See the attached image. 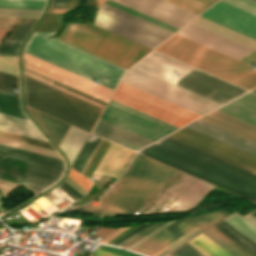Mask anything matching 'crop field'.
<instances>
[{
  "label": "crop field",
  "instance_id": "obj_57",
  "mask_svg": "<svg viewBox=\"0 0 256 256\" xmlns=\"http://www.w3.org/2000/svg\"><path fill=\"white\" fill-rule=\"evenodd\" d=\"M169 256V255H168Z\"/></svg>",
  "mask_w": 256,
  "mask_h": 256
},
{
  "label": "crop field",
  "instance_id": "obj_10",
  "mask_svg": "<svg viewBox=\"0 0 256 256\" xmlns=\"http://www.w3.org/2000/svg\"><path fill=\"white\" fill-rule=\"evenodd\" d=\"M112 100L177 128L200 115L121 82Z\"/></svg>",
  "mask_w": 256,
  "mask_h": 256
},
{
  "label": "crop field",
  "instance_id": "obj_40",
  "mask_svg": "<svg viewBox=\"0 0 256 256\" xmlns=\"http://www.w3.org/2000/svg\"><path fill=\"white\" fill-rule=\"evenodd\" d=\"M19 44L20 42L5 41L4 45L0 47V54L16 56Z\"/></svg>",
  "mask_w": 256,
  "mask_h": 256
},
{
  "label": "crop field",
  "instance_id": "obj_54",
  "mask_svg": "<svg viewBox=\"0 0 256 256\" xmlns=\"http://www.w3.org/2000/svg\"><path fill=\"white\" fill-rule=\"evenodd\" d=\"M252 91L256 93V89H254V90H252Z\"/></svg>",
  "mask_w": 256,
  "mask_h": 256
},
{
  "label": "crop field",
  "instance_id": "obj_4",
  "mask_svg": "<svg viewBox=\"0 0 256 256\" xmlns=\"http://www.w3.org/2000/svg\"><path fill=\"white\" fill-rule=\"evenodd\" d=\"M155 50L247 90L256 86L253 67L177 34Z\"/></svg>",
  "mask_w": 256,
  "mask_h": 256
},
{
  "label": "crop field",
  "instance_id": "obj_56",
  "mask_svg": "<svg viewBox=\"0 0 256 256\" xmlns=\"http://www.w3.org/2000/svg\"><path fill=\"white\" fill-rule=\"evenodd\" d=\"M92 256V255H91Z\"/></svg>",
  "mask_w": 256,
  "mask_h": 256
},
{
  "label": "crop field",
  "instance_id": "obj_27",
  "mask_svg": "<svg viewBox=\"0 0 256 256\" xmlns=\"http://www.w3.org/2000/svg\"><path fill=\"white\" fill-rule=\"evenodd\" d=\"M0 113L27 119L22 113L19 98L0 93Z\"/></svg>",
  "mask_w": 256,
  "mask_h": 256
},
{
  "label": "crop field",
  "instance_id": "obj_17",
  "mask_svg": "<svg viewBox=\"0 0 256 256\" xmlns=\"http://www.w3.org/2000/svg\"><path fill=\"white\" fill-rule=\"evenodd\" d=\"M194 227L185 220L177 221L132 250L150 256Z\"/></svg>",
  "mask_w": 256,
  "mask_h": 256
},
{
  "label": "crop field",
  "instance_id": "obj_16",
  "mask_svg": "<svg viewBox=\"0 0 256 256\" xmlns=\"http://www.w3.org/2000/svg\"><path fill=\"white\" fill-rule=\"evenodd\" d=\"M200 17L256 40V16L221 1Z\"/></svg>",
  "mask_w": 256,
  "mask_h": 256
},
{
  "label": "crop field",
  "instance_id": "obj_43",
  "mask_svg": "<svg viewBox=\"0 0 256 256\" xmlns=\"http://www.w3.org/2000/svg\"><path fill=\"white\" fill-rule=\"evenodd\" d=\"M98 249L108 251V252H111V253H114V254H117V255H120V256H141V255H137V254L127 252V251H124V250H119V249L106 247V246L99 247Z\"/></svg>",
  "mask_w": 256,
  "mask_h": 256
},
{
  "label": "crop field",
  "instance_id": "obj_34",
  "mask_svg": "<svg viewBox=\"0 0 256 256\" xmlns=\"http://www.w3.org/2000/svg\"><path fill=\"white\" fill-rule=\"evenodd\" d=\"M41 10L0 9V16L38 18Z\"/></svg>",
  "mask_w": 256,
  "mask_h": 256
},
{
  "label": "crop field",
  "instance_id": "obj_55",
  "mask_svg": "<svg viewBox=\"0 0 256 256\" xmlns=\"http://www.w3.org/2000/svg\"><path fill=\"white\" fill-rule=\"evenodd\" d=\"M253 1H255V2H256V0H253Z\"/></svg>",
  "mask_w": 256,
  "mask_h": 256
},
{
  "label": "crop field",
  "instance_id": "obj_44",
  "mask_svg": "<svg viewBox=\"0 0 256 256\" xmlns=\"http://www.w3.org/2000/svg\"><path fill=\"white\" fill-rule=\"evenodd\" d=\"M200 232H202V230H197L196 232L192 233L191 235H189L188 237L184 238L183 240H181L180 242L176 243L175 245H173L172 247H170L169 249L165 250L164 252H162L161 254L157 255V256H164L167 253H169L170 251L174 250L175 248H177L178 246L182 245L183 243H185L186 241H188L189 239H191L192 237L196 236L197 234H199Z\"/></svg>",
  "mask_w": 256,
  "mask_h": 256
},
{
  "label": "crop field",
  "instance_id": "obj_28",
  "mask_svg": "<svg viewBox=\"0 0 256 256\" xmlns=\"http://www.w3.org/2000/svg\"><path fill=\"white\" fill-rule=\"evenodd\" d=\"M210 256H231L202 233L190 240Z\"/></svg>",
  "mask_w": 256,
  "mask_h": 256
},
{
  "label": "crop field",
  "instance_id": "obj_19",
  "mask_svg": "<svg viewBox=\"0 0 256 256\" xmlns=\"http://www.w3.org/2000/svg\"><path fill=\"white\" fill-rule=\"evenodd\" d=\"M186 127L256 156V144L197 120Z\"/></svg>",
  "mask_w": 256,
  "mask_h": 256
},
{
  "label": "crop field",
  "instance_id": "obj_49",
  "mask_svg": "<svg viewBox=\"0 0 256 256\" xmlns=\"http://www.w3.org/2000/svg\"><path fill=\"white\" fill-rule=\"evenodd\" d=\"M61 188L65 193H67L71 198H73L75 201L78 199L75 195H73L67 188H65L62 184L58 186Z\"/></svg>",
  "mask_w": 256,
  "mask_h": 256
},
{
  "label": "crop field",
  "instance_id": "obj_25",
  "mask_svg": "<svg viewBox=\"0 0 256 256\" xmlns=\"http://www.w3.org/2000/svg\"><path fill=\"white\" fill-rule=\"evenodd\" d=\"M36 19L24 18H0V30H10L15 23L14 30L10 36L4 40L22 41Z\"/></svg>",
  "mask_w": 256,
  "mask_h": 256
},
{
  "label": "crop field",
  "instance_id": "obj_53",
  "mask_svg": "<svg viewBox=\"0 0 256 256\" xmlns=\"http://www.w3.org/2000/svg\"><path fill=\"white\" fill-rule=\"evenodd\" d=\"M106 0H97L98 8L105 2Z\"/></svg>",
  "mask_w": 256,
  "mask_h": 256
},
{
  "label": "crop field",
  "instance_id": "obj_1",
  "mask_svg": "<svg viewBox=\"0 0 256 256\" xmlns=\"http://www.w3.org/2000/svg\"><path fill=\"white\" fill-rule=\"evenodd\" d=\"M139 153L256 203V174L168 137Z\"/></svg>",
  "mask_w": 256,
  "mask_h": 256
},
{
  "label": "crop field",
  "instance_id": "obj_13",
  "mask_svg": "<svg viewBox=\"0 0 256 256\" xmlns=\"http://www.w3.org/2000/svg\"><path fill=\"white\" fill-rule=\"evenodd\" d=\"M63 171L1 156L0 179L21 184L39 193L56 183Z\"/></svg>",
  "mask_w": 256,
  "mask_h": 256
},
{
  "label": "crop field",
  "instance_id": "obj_38",
  "mask_svg": "<svg viewBox=\"0 0 256 256\" xmlns=\"http://www.w3.org/2000/svg\"><path fill=\"white\" fill-rule=\"evenodd\" d=\"M68 177L71 178L76 184H78L82 189L87 192L91 181H89L71 168Z\"/></svg>",
  "mask_w": 256,
  "mask_h": 256
},
{
  "label": "crop field",
  "instance_id": "obj_39",
  "mask_svg": "<svg viewBox=\"0 0 256 256\" xmlns=\"http://www.w3.org/2000/svg\"><path fill=\"white\" fill-rule=\"evenodd\" d=\"M170 256H203L187 243L169 254Z\"/></svg>",
  "mask_w": 256,
  "mask_h": 256
},
{
  "label": "crop field",
  "instance_id": "obj_6",
  "mask_svg": "<svg viewBox=\"0 0 256 256\" xmlns=\"http://www.w3.org/2000/svg\"><path fill=\"white\" fill-rule=\"evenodd\" d=\"M133 67L173 84L194 69L155 52L150 53ZM177 74L179 75L178 77L176 76ZM175 85L220 104L247 92L242 88L234 86L197 69L193 70Z\"/></svg>",
  "mask_w": 256,
  "mask_h": 256
},
{
  "label": "crop field",
  "instance_id": "obj_15",
  "mask_svg": "<svg viewBox=\"0 0 256 256\" xmlns=\"http://www.w3.org/2000/svg\"><path fill=\"white\" fill-rule=\"evenodd\" d=\"M177 34L184 36L188 39H191L195 42H198L202 45H205L209 48H212L232 58L238 56L239 54L249 49L247 47H244L240 44H237L235 42L222 38L218 35H215L203 29H200L191 24L187 25ZM235 59L254 67L256 66V51L250 49L245 53L239 55Z\"/></svg>",
  "mask_w": 256,
  "mask_h": 256
},
{
  "label": "crop field",
  "instance_id": "obj_9",
  "mask_svg": "<svg viewBox=\"0 0 256 256\" xmlns=\"http://www.w3.org/2000/svg\"><path fill=\"white\" fill-rule=\"evenodd\" d=\"M106 4L169 30L173 33L178 29L152 19L148 16L140 14L122 5L114 3L110 0ZM104 4L97 12L94 25L115 33L119 36L127 38L138 44L154 49L173 33L117 10L113 7Z\"/></svg>",
  "mask_w": 256,
  "mask_h": 256
},
{
  "label": "crop field",
  "instance_id": "obj_21",
  "mask_svg": "<svg viewBox=\"0 0 256 256\" xmlns=\"http://www.w3.org/2000/svg\"><path fill=\"white\" fill-rule=\"evenodd\" d=\"M0 130L45 141L27 120L0 114Z\"/></svg>",
  "mask_w": 256,
  "mask_h": 256
},
{
  "label": "crop field",
  "instance_id": "obj_32",
  "mask_svg": "<svg viewBox=\"0 0 256 256\" xmlns=\"http://www.w3.org/2000/svg\"><path fill=\"white\" fill-rule=\"evenodd\" d=\"M225 216H227V215L223 211H220V212H215V213L199 216L197 218L188 219V221L205 229V228L211 226L212 224L216 223L220 219L224 218Z\"/></svg>",
  "mask_w": 256,
  "mask_h": 256
},
{
  "label": "crop field",
  "instance_id": "obj_36",
  "mask_svg": "<svg viewBox=\"0 0 256 256\" xmlns=\"http://www.w3.org/2000/svg\"><path fill=\"white\" fill-rule=\"evenodd\" d=\"M0 71L17 76V58L0 56Z\"/></svg>",
  "mask_w": 256,
  "mask_h": 256
},
{
  "label": "crop field",
  "instance_id": "obj_20",
  "mask_svg": "<svg viewBox=\"0 0 256 256\" xmlns=\"http://www.w3.org/2000/svg\"><path fill=\"white\" fill-rule=\"evenodd\" d=\"M218 110L256 126V94L252 92H249Z\"/></svg>",
  "mask_w": 256,
  "mask_h": 256
},
{
  "label": "crop field",
  "instance_id": "obj_18",
  "mask_svg": "<svg viewBox=\"0 0 256 256\" xmlns=\"http://www.w3.org/2000/svg\"><path fill=\"white\" fill-rule=\"evenodd\" d=\"M200 120L256 143V127L218 110Z\"/></svg>",
  "mask_w": 256,
  "mask_h": 256
},
{
  "label": "crop field",
  "instance_id": "obj_30",
  "mask_svg": "<svg viewBox=\"0 0 256 256\" xmlns=\"http://www.w3.org/2000/svg\"><path fill=\"white\" fill-rule=\"evenodd\" d=\"M46 0H0V8L43 9Z\"/></svg>",
  "mask_w": 256,
  "mask_h": 256
},
{
  "label": "crop field",
  "instance_id": "obj_46",
  "mask_svg": "<svg viewBox=\"0 0 256 256\" xmlns=\"http://www.w3.org/2000/svg\"><path fill=\"white\" fill-rule=\"evenodd\" d=\"M116 229L100 227L94 234L102 236V237H105V236H107L108 234H110L111 232H113Z\"/></svg>",
  "mask_w": 256,
  "mask_h": 256
},
{
  "label": "crop field",
  "instance_id": "obj_31",
  "mask_svg": "<svg viewBox=\"0 0 256 256\" xmlns=\"http://www.w3.org/2000/svg\"><path fill=\"white\" fill-rule=\"evenodd\" d=\"M16 90H18L17 77L0 72V92L19 97V92Z\"/></svg>",
  "mask_w": 256,
  "mask_h": 256
},
{
  "label": "crop field",
  "instance_id": "obj_41",
  "mask_svg": "<svg viewBox=\"0 0 256 256\" xmlns=\"http://www.w3.org/2000/svg\"><path fill=\"white\" fill-rule=\"evenodd\" d=\"M165 223V222H164ZM164 223H158V224H154L151 227L147 228L146 230H144L143 232H141L140 234L136 235L135 237H133L132 239H130L129 241H127L126 243L122 244L121 247H128L129 245L133 244L134 242H136L137 240L141 239L142 237H144L145 235L149 234L150 232H152L153 230L157 229L158 227H160L161 225H163Z\"/></svg>",
  "mask_w": 256,
  "mask_h": 256
},
{
  "label": "crop field",
  "instance_id": "obj_3",
  "mask_svg": "<svg viewBox=\"0 0 256 256\" xmlns=\"http://www.w3.org/2000/svg\"><path fill=\"white\" fill-rule=\"evenodd\" d=\"M175 172L174 169L137 155L116 184L119 187L114 190L115 185L105 195L102 215L132 214Z\"/></svg>",
  "mask_w": 256,
  "mask_h": 256
},
{
  "label": "crop field",
  "instance_id": "obj_2",
  "mask_svg": "<svg viewBox=\"0 0 256 256\" xmlns=\"http://www.w3.org/2000/svg\"><path fill=\"white\" fill-rule=\"evenodd\" d=\"M53 34L34 32L24 51L115 90L125 69L53 38H44Z\"/></svg>",
  "mask_w": 256,
  "mask_h": 256
},
{
  "label": "crop field",
  "instance_id": "obj_45",
  "mask_svg": "<svg viewBox=\"0 0 256 256\" xmlns=\"http://www.w3.org/2000/svg\"><path fill=\"white\" fill-rule=\"evenodd\" d=\"M73 211L100 215L101 209L80 207L78 209H74Z\"/></svg>",
  "mask_w": 256,
  "mask_h": 256
},
{
  "label": "crop field",
  "instance_id": "obj_12",
  "mask_svg": "<svg viewBox=\"0 0 256 256\" xmlns=\"http://www.w3.org/2000/svg\"><path fill=\"white\" fill-rule=\"evenodd\" d=\"M140 13L148 15L166 24L174 26L178 29L192 20L197 14L201 13L208 6L201 4L195 0H112Z\"/></svg>",
  "mask_w": 256,
  "mask_h": 256
},
{
  "label": "crop field",
  "instance_id": "obj_29",
  "mask_svg": "<svg viewBox=\"0 0 256 256\" xmlns=\"http://www.w3.org/2000/svg\"><path fill=\"white\" fill-rule=\"evenodd\" d=\"M238 215V214H237ZM235 213L225 219L228 224L246 236L249 240L256 244V229L237 216Z\"/></svg>",
  "mask_w": 256,
  "mask_h": 256
},
{
  "label": "crop field",
  "instance_id": "obj_51",
  "mask_svg": "<svg viewBox=\"0 0 256 256\" xmlns=\"http://www.w3.org/2000/svg\"><path fill=\"white\" fill-rule=\"evenodd\" d=\"M197 1H199V2H201V3H204V4L208 5V6H210V5H212L214 2H216L217 0H197Z\"/></svg>",
  "mask_w": 256,
  "mask_h": 256
},
{
  "label": "crop field",
  "instance_id": "obj_5",
  "mask_svg": "<svg viewBox=\"0 0 256 256\" xmlns=\"http://www.w3.org/2000/svg\"><path fill=\"white\" fill-rule=\"evenodd\" d=\"M101 120L151 142L177 129L112 100H110ZM101 120H99L92 133L136 152L151 143Z\"/></svg>",
  "mask_w": 256,
  "mask_h": 256
},
{
  "label": "crop field",
  "instance_id": "obj_7",
  "mask_svg": "<svg viewBox=\"0 0 256 256\" xmlns=\"http://www.w3.org/2000/svg\"><path fill=\"white\" fill-rule=\"evenodd\" d=\"M55 39L125 69L150 51L93 25H67Z\"/></svg>",
  "mask_w": 256,
  "mask_h": 256
},
{
  "label": "crop field",
  "instance_id": "obj_42",
  "mask_svg": "<svg viewBox=\"0 0 256 256\" xmlns=\"http://www.w3.org/2000/svg\"><path fill=\"white\" fill-rule=\"evenodd\" d=\"M80 0H53L51 8H75Z\"/></svg>",
  "mask_w": 256,
  "mask_h": 256
},
{
  "label": "crop field",
  "instance_id": "obj_23",
  "mask_svg": "<svg viewBox=\"0 0 256 256\" xmlns=\"http://www.w3.org/2000/svg\"><path fill=\"white\" fill-rule=\"evenodd\" d=\"M191 23L256 50V41L198 17Z\"/></svg>",
  "mask_w": 256,
  "mask_h": 256
},
{
  "label": "crop field",
  "instance_id": "obj_26",
  "mask_svg": "<svg viewBox=\"0 0 256 256\" xmlns=\"http://www.w3.org/2000/svg\"><path fill=\"white\" fill-rule=\"evenodd\" d=\"M207 237H209L211 240H213L215 243H217L219 246H221L223 249H225L227 252H229L233 256H250L245 251H243L241 248H239L237 245L232 243L230 240H228L226 237H224L222 234H220L218 231H216L214 228H209L202 232Z\"/></svg>",
  "mask_w": 256,
  "mask_h": 256
},
{
  "label": "crop field",
  "instance_id": "obj_8",
  "mask_svg": "<svg viewBox=\"0 0 256 256\" xmlns=\"http://www.w3.org/2000/svg\"><path fill=\"white\" fill-rule=\"evenodd\" d=\"M26 104L90 132L102 108L24 75Z\"/></svg>",
  "mask_w": 256,
  "mask_h": 256
},
{
  "label": "crop field",
  "instance_id": "obj_22",
  "mask_svg": "<svg viewBox=\"0 0 256 256\" xmlns=\"http://www.w3.org/2000/svg\"><path fill=\"white\" fill-rule=\"evenodd\" d=\"M28 108V107H27ZM32 117L37 121V123L46 131V133L55 141L59 146L62 142L69 125L48 117L42 113L28 108Z\"/></svg>",
  "mask_w": 256,
  "mask_h": 256
},
{
  "label": "crop field",
  "instance_id": "obj_24",
  "mask_svg": "<svg viewBox=\"0 0 256 256\" xmlns=\"http://www.w3.org/2000/svg\"><path fill=\"white\" fill-rule=\"evenodd\" d=\"M87 134H88L87 132L71 126L66 137L64 138L60 148L66 154L69 160L70 166L75 156L77 155L81 145L83 144Z\"/></svg>",
  "mask_w": 256,
  "mask_h": 256
},
{
  "label": "crop field",
  "instance_id": "obj_50",
  "mask_svg": "<svg viewBox=\"0 0 256 256\" xmlns=\"http://www.w3.org/2000/svg\"><path fill=\"white\" fill-rule=\"evenodd\" d=\"M245 219H247L249 222H251L253 225L256 226V219H254L252 216H250L249 214L244 216Z\"/></svg>",
  "mask_w": 256,
  "mask_h": 256
},
{
  "label": "crop field",
  "instance_id": "obj_35",
  "mask_svg": "<svg viewBox=\"0 0 256 256\" xmlns=\"http://www.w3.org/2000/svg\"><path fill=\"white\" fill-rule=\"evenodd\" d=\"M0 137H3V138H7V139H11V140H15V141L27 143V144H30V145H34V146H38V147H42V148H46V149L53 150V149L51 148V146H50L48 143H46V142H42V141H38V140H34V139L22 137V136H19V135H15V134L3 132V131H0Z\"/></svg>",
  "mask_w": 256,
  "mask_h": 256
},
{
  "label": "crop field",
  "instance_id": "obj_52",
  "mask_svg": "<svg viewBox=\"0 0 256 256\" xmlns=\"http://www.w3.org/2000/svg\"><path fill=\"white\" fill-rule=\"evenodd\" d=\"M8 31H0V40L3 36L7 34Z\"/></svg>",
  "mask_w": 256,
  "mask_h": 256
},
{
  "label": "crop field",
  "instance_id": "obj_47",
  "mask_svg": "<svg viewBox=\"0 0 256 256\" xmlns=\"http://www.w3.org/2000/svg\"><path fill=\"white\" fill-rule=\"evenodd\" d=\"M172 222H167L165 225H163L162 227H160L159 229L155 230L154 232H152L151 234H149L148 236H146L145 238H143L142 240H140L139 242L135 243L134 245H132L131 247L127 248V249H132L133 247H135L136 245H138L139 243L143 242L144 240H146L147 238H149L150 236H152L153 234H155L156 232H158L159 230L163 229L164 227H166L167 225H169Z\"/></svg>",
  "mask_w": 256,
  "mask_h": 256
},
{
  "label": "crop field",
  "instance_id": "obj_33",
  "mask_svg": "<svg viewBox=\"0 0 256 256\" xmlns=\"http://www.w3.org/2000/svg\"><path fill=\"white\" fill-rule=\"evenodd\" d=\"M0 144H4V145L16 147V148H20V149H24V150H28V151H32V152H36V153H40V154H44V155H48V156H52V157H56V158H60V156L54 151H50V150H46V149H42V148L30 146V145H26V144H23V143L7 140V139H3V138H0Z\"/></svg>",
  "mask_w": 256,
  "mask_h": 256
},
{
  "label": "crop field",
  "instance_id": "obj_37",
  "mask_svg": "<svg viewBox=\"0 0 256 256\" xmlns=\"http://www.w3.org/2000/svg\"><path fill=\"white\" fill-rule=\"evenodd\" d=\"M240 9L256 15V3L249 0H222Z\"/></svg>",
  "mask_w": 256,
  "mask_h": 256
},
{
  "label": "crop field",
  "instance_id": "obj_14",
  "mask_svg": "<svg viewBox=\"0 0 256 256\" xmlns=\"http://www.w3.org/2000/svg\"><path fill=\"white\" fill-rule=\"evenodd\" d=\"M168 137L256 173V157L186 127Z\"/></svg>",
  "mask_w": 256,
  "mask_h": 256
},
{
  "label": "crop field",
  "instance_id": "obj_11",
  "mask_svg": "<svg viewBox=\"0 0 256 256\" xmlns=\"http://www.w3.org/2000/svg\"><path fill=\"white\" fill-rule=\"evenodd\" d=\"M123 82L142 89L200 115L220 104L172 85L133 67L128 69Z\"/></svg>",
  "mask_w": 256,
  "mask_h": 256
},
{
  "label": "crop field",
  "instance_id": "obj_48",
  "mask_svg": "<svg viewBox=\"0 0 256 256\" xmlns=\"http://www.w3.org/2000/svg\"><path fill=\"white\" fill-rule=\"evenodd\" d=\"M92 254L96 255V256H117V255L107 253V252H104V251H101V250H98V249H96Z\"/></svg>",
  "mask_w": 256,
  "mask_h": 256
}]
</instances>
